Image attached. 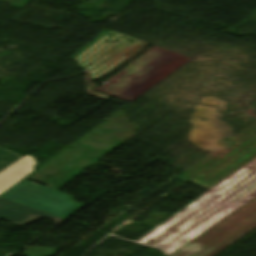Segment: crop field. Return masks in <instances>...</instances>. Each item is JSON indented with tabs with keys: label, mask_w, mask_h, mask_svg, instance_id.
I'll list each match as a JSON object with an SVG mask.
<instances>
[{
	"label": "crop field",
	"mask_w": 256,
	"mask_h": 256,
	"mask_svg": "<svg viewBox=\"0 0 256 256\" xmlns=\"http://www.w3.org/2000/svg\"><path fill=\"white\" fill-rule=\"evenodd\" d=\"M255 197L256 160L207 191L159 226L198 236ZM192 218L195 219L192 220Z\"/></svg>",
	"instance_id": "1"
},
{
	"label": "crop field",
	"mask_w": 256,
	"mask_h": 256,
	"mask_svg": "<svg viewBox=\"0 0 256 256\" xmlns=\"http://www.w3.org/2000/svg\"><path fill=\"white\" fill-rule=\"evenodd\" d=\"M233 139L236 148L210 154L179 177L211 189L256 159V122Z\"/></svg>",
	"instance_id": "2"
},
{
	"label": "crop field",
	"mask_w": 256,
	"mask_h": 256,
	"mask_svg": "<svg viewBox=\"0 0 256 256\" xmlns=\"http://www.w3.org/2000/svg\"><path fill=\"white\" fill-rule=\"evenodd\" d=\"M256 228V198L171 256H215Z\"/></svg>",
	"instance_id": "3"
},
{
	"label": "crop field",
	"mask_w": 256,
	"mask_h": 256,
	"mask_svg": "<svg viewBox=\"0 0 256 256\" xmlns=\"http://www.w3.org/2000/svg\"><path fill=\"white\" fill-rule=\"evenodd\" d=\"M107 31L110 30H104L87 47L72 58L91 72L93 81L111 71L147 44L113 31ZM109 34L112 35L107 37ZM123 37L126 38L122 40ZM118 39L121 42L112 44ZM129 39L135 42L131 44L132 42H128ZM107 41H111V43L107 44Z\"/></svg>",
	"instance_id": "4"
},
{
	"label": "crop field",
	"mask_w": 256,
	"mask_h": 256,
	"mask_svg": "<svg viewBox=\"0 0 256 256\" xmlns=\"http://www.w3.org/2000/svg\"><path fill=\"white\" fill-rule=\"evenodd\" d=\"M1 197L51 213L67 219L80 210L79 206L69 200L67 195L45 186H36L30 181H22L8 190Z\"/></svg>",
	"instance_id": "5"
},
{
	"label": "crop field",
	"mask_w": 256,
	"mask_h": 256,
	"mask_svg": "<svg viewBox=\"0 0 256 256\" xmlns=\"http://www.w3.org/2000/svg\"><path fill=\"white\" fill-rule=\"evenodd\" d=\"M195 237L196 236L157 226L136 242L163 249L169 256Z\"/></svg>",
	"instance_id": "6"
},
{
	"label": "crop field",
	"mask_w": 256,
	"mask_h": 256,
	"mask_svg": "<svg viewBox=\"0 0 256 256\" xmlns=\"http://www.w3.org/2000/svg\"><path fill=\"white\" fill-rule=\"evenodd\" d=\"M42 217L57 223L65 220L0 197V219L2 220L24 227Z\"/></svg>",
	"instance_id": "7"
},
{
	"label": "crop field",
	"mask_w": 256,
	"mask_h": 256,
	"mask_svg": "<svg viewBox=\"0 0 256 256\" xmlns=\"http://www.w3.org/2000/svg\"><path fill=\"white\" fill-rule=\"evenodd\" d=\"M37 165L33 156H25L0 173V195L34 171Z\"/></svg>",
	"instance_id": "8"
},
{
	"label": "crop field",
	"mask_w": 256,
	"mask_h": 256,
	"mask_svg": "<svg viewBox=\"0 0 256 256\" xmlns=\"http://www.w3.org/2000/svg\"><path fill=\"white\" fill-rule=\"evenodd\" d=\"M56 254V250L52 248L29 247L25 250V256H46Z\"/></svg>",
	"instance_id": "9"
},
{
	"label": "crop field",
	"mask_w": 256,
	"mask_h": 256,
	"mask_svg": "<svg viewBox=\"0 0 256 256\" xmlns=\"http://www.w3.org/2000/svg\"><path fill=\"white\" fill-rule=\"evenodd\" d=\"M11 164V162L0 152V170Z\"/></svg>",
	"instance_id": "10"
},
{
	"label": "crop field",
	"mask_w": 256,
	"mask_h": 256,
	"mask_svg": "<svg viewBox=\"0 0 256 256\" xmlns=\"http://www.w3.org/2000/svg\"><path fill=\"white\" fill-rule=\"evenodd\" d=\"M0 151L11 161L14 162L16 160H18L20 157L14 154H11L7 151H5L4 149H0Z\"/></svg>",
	"instance_id": "11"
}]
</instances>
